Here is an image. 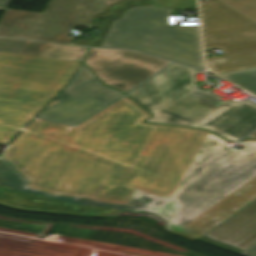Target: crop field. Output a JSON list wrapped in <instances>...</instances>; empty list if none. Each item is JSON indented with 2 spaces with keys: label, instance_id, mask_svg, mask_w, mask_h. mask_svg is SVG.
Segmentation results:
<instances>
[{
  "label": "crop field",
  "instance_id": "obj_1",
  "mask_svg": "<svg viewBox=\"0 0 256 256\" xmlns=\"http://www.w3.org/2000/svg\"><path fill=\"white\" fill-rule=\"evenodd\" d=\"M127 96L76 127L34 120L0 156V204L99 216L149 212L195 241L256 199V140L148 125Z\"/></svg>",
  "mask_w": 256,
  "mask_h": 256
},
{
  "label": "crop field",
  "instance_id": "obj_2",
  "mask_svg": "<svg viewBox=\"0 0 256 256\" xmlns=\"http://www.w3.org/2000/svg\"><path fill=\"white\" fill-rule=\"evenodd\" d=\"M198 70L173 63L128 96L154 116L146 122L208 129L238 141L256 128V107L246 111L210 89L195 85Z\"/></svg>",
  "mask_w": 256,
  "mask_h": 256
},
{
  "label": "crop field",
  "instance_id": "obj_3",
  "mask_svg": "<svg viewBox=\"0 0 256 256\" xmlns=\"http://www.w3.org/2000/svg\"><path fill=\"white\" fill-rule=\"evenodd\" d=\"M185 8H197L196 0H153L124 6L104 19L92 46L137 50L206 69L199 26L169 25L172 9Z\"/></svg>",
  "mask_w": 256,
  "mask_h": 256
},
{
  "label": "crop field",
  "instance_id": "obj_4",
  "mask_svg": "<svg viewBox=\"0 0 256 256\" xmlns=\"http://www.w3.org/2000/svg\"><path fill=\"white\" fill-rule=\"evenodd\" d=\"M78 64L0 53V143H7L64 87Z\"/></svg>",
  "mask_w": 256,
  "mask_h": 256
},
{
  "label": "crop field",
  "instance_id": "obj_5",
  "mask_svg": "<svg viewBox=\"0 0 256 256\" xmlns=\"http://www.w3.org/2000/svg\"><path fill=\"white\" fill-rule=\"evenodd\" d=\"M132 0H50L43 13L6 9L0 36L70 44L73 27L97 29L99 18Z\"/></svg>",
  "mask_w": 256,
  "mask_h": 256
},
{
  "label": "crop field",
  "instance_id": "obj_6",
  "mask_svg": "<svg viewBox=\"0 0 256 256\" xmlns=\"http://www.w3.org/2000/svg\"><path fill=\"white\" fill-rule=\"evenodd\" d=\"M123 96L101 84L81 64L67 87L37 117L76 125Z\"/></svg>",
  "mask_w": 256,
  "mask_h": 256
},
{
  "label": "crop field",
  "instance_id": "obj_7",
  "mask_svg": "<svg viewBox=\"0 0 256 256\" xmlns=\"http://www.w3.org/2000/svg\"><path fill=\"white\" fill-rule=\"evenodd\" d=\"M84 62L109 86L128 92L170 62L141 53L90 48Z\"/></svg>",
  "mask_w": 256,
  "mask_h": 256
},
{
  "label": "crop field",
  "instance_id": "obj_8",
  "mask_svg": "<svg viewBox=\"0 0 256 256\" xmlns=\"http://www.w3.org/2000/svg\"><path fill=\"white\" fill-rule=\"evenodd\" d=\"M204 49L220 47L224 55L205 58L217 73L256 67V24L203 34Z\"/></svg>",
  "mask_w": 256,
  "mask_h": 256
},
{
  "label": "crop field",
  "instance_id": "obj_9",
  "mask_svg": "<svg viewBox=\"0 0 256 256\" xmlns=\"http://www.w3.org/2000/svg\"><path fill=\"white\" fill-rule=\"evenodd\" d=\"M198 241L237 254L254 244L256 242V200Z\"/></svg>",
  "mask_w": 256,
  "mask_h": 256
},
{
  "label": "crop field",
  "instance_id": "obj_10",
  "mask_svg": "<svg viewBox=\"0 0 256 256\" xmlns=\"http://www.w3.org/2000/svg\"><path fill=\"white\" fill-rule=\"evenodd\" d=\"M87 48L0 38V52L81 61Z\"/></svg>",
  "mask_w": 256,
  "mask_h": 256
},
{
  "label": "crop field",
  "instance_id": "obj_11",
  "mask_svg": "<svg viewBox=\"0 0 256 256\" xmlns=\"http://www.w3.org/2000/svg\"><path fill=\"white\" fill-rule=\"evenodd\" d=\"M203 33L254 24L217 0L199 2Z\"/></svg>",
  "mask_w": 256,
  "mask_h": 256
},
{
  "label": "crop field",
  "instance_id": "obj_12",
  "mask_svg": "<svg viewBox=\"0 0 256 256\" xmlns=\"http://www.w3.org/2000/svg\"><path fill=\"white\" fill-rule=\"evenodd\" d=\"M220 76L256 95V68L220 74Z\"/></svg>",
  "mask_w": 256,
  "mask_h": 256
},
{
  "label": "crop field",
  "instance_id": "obj_13",
  "mask_svg": "<svg viewBox=\"0 0 256 256\" xmlns=\"http://www.w3.org/2000/svg\"><path fill=\"white\" fill-rule=\"evenodd\" d=\"M245 17L256 22V0H219Z\"/></svg>",
  "mask_w": 256,
  "mask_h": 256
},
{
  "label": "crop field",
  "instance_id": "obj_14",
  "mask_svg": "<svg viewBox=\"0 0 256 256\" xmlns=\"http://www.w3.org/2000/svg\"><path fill=\"white\" fill-rule=\"evenodd\" d=\"M240 255L244 256H256V243L242 252Z\"/></svg>",
  "mask_w": 256,
  "mask_h": 256
},
{
  "label": "crop field",
  "instance_id": "obj_15",
  "mask_svg": "<svg viewBox=\"0 0 256 256\" xmlns=\"http://www.w3.org/2000/svg\"><path fill=\"white\" fill-rule=\"evenodd\" d=\"M11 0H0V10L5 11Z\"/></svg>",
  "mask_w": 256,
  "mask_h": 256
},
{
  "label": "crop field",
  "instance_id": "obj_16",
  "mask_svg": "<svg viewBox=\"0 0 256 256\" xmlns=\"http://www.w3.org/2000/svg\"><path fill=\"white\" fill-rule=\"evenodd\" d=\"M73 44H78V45H86L89 46L90 41L87 40H81V39H76Z\"/></svg>",
  "mask_w": 256,
  "mask_h": 256
},
{
  "label": "crop field",
  "instance_id": "obj_17",
  "mask_svg": "<svg viewBox=\"0 0 256 256\" xmlns=\"http://www.w3.org/2000/svg\"><path fill=\"white\" fill-rule=\"evenodd\" d=\"M248 138H256V132L248 136Z\"/></svg>",
  "mask_w": 256,
  "mask_h": 256
}]
</instances>
